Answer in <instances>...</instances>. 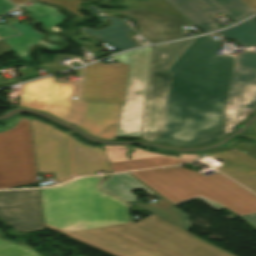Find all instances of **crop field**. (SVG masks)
<instances>
[{"label":"crop field","instance_id":"crop-field-1","mask_svg":"<svg viewBox=\"0 0 256 256\" xmlns=\"http://www.w3.org/2000/svg\"><path fill=\"white\" fill-rule=\"evenodd\" d=\"M216 33L196 38L167 70L173 72L164 133L171 146L208 144L256 109V70L235 67L233 56H217Z\"/></svg>","mask_w":256,"mask_h":256},{"label":"crop field","instance_id":"crop-field-9","mask_svg":"<svg viewBox=\"0 0 256 256\" xmlns=\"http://www.w3.org/2000/svg\"><path fill=\"white\" fill-rule=\"evenodd\" d=\"M135 5L128 11H111L135 18L141 35L151 44L184 38L181 27L192 24L164 0H135Z\"/></svg>","mask_w":256,"mask_h":256},{"label":"crop field","instance_id":"crop-field-32","mask_svg":"<svg viewBox=\"0 0 256 256\" xmlns=\"http://www.w3.org/2000/svg\"><path fill=\"white\" fill-rule=\"evenodd\" d=\"M11 1L18 6V5L22 4L23 2H25L27 0H11Z\"/></svg>","mask_w":256,"mask_h":256},{"label":"crop field","instance_id":"crop-field-27","mask_svg":"<svg viewBox=\"0 0 256 256\" xmlns=\"http://www.w3.org/2000/svg\"><path fill=\"white\" fill-rule=\"evenodd\" d=\"M240 219L256 230V214L240 217Z\"/></svg>","mask_w":256,"mask_h":256},{"label":"crop field","instance_id":"crop-field-7","mask_svg":"<svg viewBox=\"0 0 256 256\" xmlns=\"http://www.w3.org/2000/svg\"><path fill=\"white\" fill-rule=\"evenodd\" d=\"M152 47L127 52L114 60L130 64L116 136L141 135Z\"/></svg>","mask_w":256,"mask_h":256},{"label":"crop field","instance_id":"crop-field-10","mask_svg":"<svg viewBox=\"0 0 256 256\" xmlns=\"http://www.w3.org/2000/svg\"><path fill=\"white\" fill-rule=\"evenodd\" d=\"M129 65L101 62L88 65L84 81V101L123 103Z\"/></svg>","mask_w":256,"mask_h":256},{"label":"crop field","instance_id":"crop-field-16","mask_svg":"<svg viewBox=\"0 0 256 256\" xmlns=\"http://www.w3.org/2000/svg\"><path fill=\"white\" fill-rule=\"evenodd\" d=\"M153 196L160 198V200L152 204H142L138 201L132 203L186 231L191 229L188 216L185 213L160 195Z\"/></svg>","mask_w":256,"mask_h":256},{"label":"crop field","instance_id":"crop-field-5","mask_svg":"<svg viewBox=\"0 0 256 256\" xmlns=\"http://www.w3.org/2000/svg\"><path fill=\"white\" fill-rule=\"evenodd\" d=\"M35 182L29 120L19 114L0 128V189Z\"/></svg>","mask_w":256,"mask_h":256},{"label":"crop field","instance_id":"crop-field-19","mask_svg":"<svg viewBox=\"0 0 256 256\" xmlns=\"http://www.w3.org/2000/svg\"><path fill=\"white\" fill-rule=\"evenodd\" d=\"M191 160L192 159H175V158H169V157H155V158H145V159L113 162L110 164L112 167V171L116 172V171L132 170V169L163 166V165H174V164L191 161Z\"/></svg>","mask_w":256,"mask_h":256},{"label":"crop field","instance_id":"crop-field-34","mask_svg":"<svg viewBox=\"0 0 256 256\" xmlns=\"http://www.w3.org/2000/svg\"><path fill=\"white\" fill-rule=\"evenodd\" d=\"M109 176H110V175H107V176L102 177V180H101L100 184H101L104 180H106ZM100 184H99V185H100Z\"/></svg>","mask_w":256,"mask_h":256},{"label":"crop field","instance_id":"crop-field-23","mask_svg":"<svg viewBox=\"0 0 256 256\" xmlns=\"http://www.w3.org/2000/svg\"><path fill=\"white\" fill-rule=\"evenodd\" d=\"M8 242L0 237V256H40L28 247Z\"/></svg>","mask_w":256,"mask_h":256},{"label":"crop field","instance_id":"crop-field-3","mask_svg":"<svg viewBox=\"0 0 256 256\" xmlns=\"http://www.w3.org/2000/svg\"><path fill=\"white\" fill-rule=\"evenodd\" d=\"M174 205L201 199L241 216L256 212V196L217 173L208 177L182 166L131 173Z\"/></svg>","mask_w":256,"mask_h":256},{"label":"crop field","instance_id":"crop-field-8","mask_svg":"<svg viewBox=\"0 0 256 256\" xmlns=\"http://www.w3.org/2000/svg\"><path fill=\"white\" fill-rule=\"evenodd\" d=\"M55 76L23 84L18 106L48 111L67 122H74L81 82H55Z\"/></svg>","mask_w":256,"mask_h":256},{"label":"crop field","instance_id":"crop-field-21","mask_svg":"<svg viewBox=\"0 0 256 256\" xmlns=\"http://www.w3.org/2000/svg\"><path fill=\"white\" fill-rule=\"evenodd\" d=\"M256 17L232 29L221 31L228 39H235L242 47L256 45Z\"/></svg>","mask_w":256,"mask_h":256},{"label":"crop field","instance_id":"crop-field-13","mask_svg":"<svg viewBox=\"0 0 256 256\" xmlns=\"http://www.w3.org/2000/svg\"><path fill=\"white\" fill-rule=\"evenodd\" d=\"M120 104L108 102H80L76 124L88 133L105 139L116 135Z\"/></svg>","mask_w":256,"mask_h":256},{"label":"crop field","instance_id":"crop-field-4","mask_svg":"<svg viewBox=\"0 0 256 256\" xmlns=\"http://www.w3.org/2000/svg\"><path fill=\"white\" fill-rule=\"evenodd\" d=\"M32 129L36 169L39 173H54L58 183L77 175L110 173L103 149L90 147L51 126L29 118Z\"/></svg>","mask_w":256,"mask_h":256},{"label":"crop field","instance_id":"crop-field-30","mask_svg":"<svg viewBox=\"0 0 256 256\" xmlns=\"http://www.w3.org/2000/svg\"><path fill=\"white\" fill-rule=\"evenodd\" d=\"M239 144H242L241 142H237V141H234V142H232V143H230L229 145H227L226 147H230V148H234L235 146H237V145H239ZM250 145H252V144H250ZM231 150V149H230ZM226 151H228V150H226ZM204 155H212V154H204Z\"/></svg>","mask_w":256,"mask_h":256},{"label":"crop field","instance_id":"crop-field-22","mask_svg":"<svg viewBox=\"0 0 256 256\" xmlns=\"http://www.w3.org/2000/svg\"><path fill=\"white\" fill-rule=\"evenodd\" d=\"M103 148L106 152L107 158L110 162L113 161H121V160H128L124 156V147H117V146H106L103 145ZM135 158H144V157H154V156H167V155H161V154H155V153H149L141 150H135L134 153ZM182 158H193L196 157V155H188V154H181ZM173 157V156H169ZM179 158V157H175Z\"/></svg>","mask_w":256,"mask_h":256},{"label":"crop field","instance_id":"crop-field-29","mask_svg":"<svg viewBox=\"0 0 256 256\" xmlns=\"http://www.w3.org/2000/svg\"><path fill=\"white\" fill-rule=\"evenodd\" d=\"M10 49L3 40L0 41V55L10 52Z\"/></svg>","mask_w":256,"mask_h":256},{"label":"crop field","instance_id":"crop-field-15","mask_svg":"<svg viewBox=\"0 0 256 256\" xmlns=\"http://www.w3.org/2000/svg\"><path fill=\"white\" fill-rule=\"evenodd\" d=\"M87 9L91 12H96L100 17L99 20L104 23L105 18L111 20V25L102 30H90L81 27L82 31L90 35L100 38L103 42L122 51L138 46L127 35L132 31L122 20L117 17H109L99 10L96 6H88Z\"/></svg>","mask_w":256,"mask_h":256},{"label":"crop field","instance_id":"crop-field-2","mask_svg":"<svg viewBox=\"0 0 256 256\" xmlns=\"http://www.w3.org/2000/svg\"><path fill=\"white\" fill-rule=\"evenodd\" d=\"M86 177L40 190L44 225L115 256H235L155 216L130 222L127 204Z\"/></svg>","mask_w":256,"mask_h":256},{"label":"crop field","instance_id":"crop-field-6","mask_svg":"<svg viewBox=\"0 0 256 256\" xmlns=\"http://www.w3.org/2000/svg\"><path fill=\"white\" fill-rule=\"evenodd\" d=\"M193 40L153 47L142 140L155 142L156 138L163 133L166 116L164 105L172 75L166 70Z\"/></svg>","mask_w":256,"mask_h":256},{"label":"crop field","instance_id":"crop-field-18","mask_svg":"<svg viewBox=\"0 0 256 256\" xmlns=\"http://www.w3.org/2000/svg\"><path fill=\"white\" fill-rule=\"evenodd\" d=\"M11 24L22 33L19 37L7 38L4 41L17 53L22 60L30 61L28 50L31 45H37L42 42L43 34L36 32L26 23L11 22Z\"/></svg>","mask_w":256,"mask_h":256},{"label":"crop field","instance_id":"crop-field-33","mask_svg":"<svg viewBox=\"0 0 256 256\" xmlns=\"http://www.w3.org/2000/svg\"><path fill=\"white\" fill-rule=\"evenodd\" d=\"M82 72H83V68L78 69V71H76L77 75L82 77Z\"/></svg>","mask_w":256,"mask_h":256},{"label":"crop field","instance_id":"crop-field-28","mask_svg":"<svg viewBox=\"0 0 256 256\" xmlns=\"http://www.w3.org/2000/svg\"><path fill=\"white\" fill-rule=\"evenodd\" d=\"M243 134L247 135V136H253L254 139H256V123L253 124L246 132H244Z\"/></svg>","mask_w":256,"mask_h":256},{"label":"crop field","instance_id":"crop-field-25","mask_svg":"<svg viewBox=\"0 0 256 256\" xmlns=\"http://www.w3.org/2000/svg\"><path fill=\"white\" fill-rule=\"evenodd\" d=\"M237 66L256 69V54L245 51L236 56Z\"/></svg>","mask_w":256,"mask_h":256},{"label":"crop field","instance_id":"crop-field-20","mask_svg":"<svg viewBox=\"0 0 256 256\" xmlns=\"http://www.w3.org/2000/svg\"><path fill=\"white\" fill-rule=\"evenodd\" d=\"M21 8L27 11L34 19L41 22L47 29L61 23L65 18V16L60 14L56 8L46 6L38 2L28 6L23 5Z\"/></svg>","mask_w":256,"mask_h":256},{"label":"crop field","instance_id":"crop-field-17","mask_svg":"<svg viewBox=\"0 0 256 256\" xmlns=\"http://www.w3.org/2000/svg\"><path fill=\"white\" fill-rule=\"evenodd\" d=\"M99 187L127 202H132L139 199L130 193V191L134 188H140L150 195L153 194L152 191L143 186L127 173L111 175Z\"/></svg>","mask_w":256,"mask_h":256},{"label":"crop field","instance_id":"crop-field-14","mask_svg":"<svg viewBox=\"0 0 256 256\" xmlns=\"http://www.w3.org/2000/svg\"><path fill=\"white\" fill-rule=\"evenodd\" d=\"M213 156L224 160L216 167L218 170L256 192V147L242 144L232 151L220 152Z\"/></svg>","mask_w":256,"mask_h":256},{"label":"crop field","instance_id":"crop-field-11","mask_svg":"<svg viewBox=\"0 0 256 256\" xmlns=\"http://www.w3.org/2000/svg\"><path fill=\"white\" fill-rule=\"evenodd\" d=\"M204 33L218 29L211 16L223 12L235 22L254 13L241 0H166Z\"/></svg>","mask_w":256,"mask_h":256},{"label":"crop field","instance_id":"crop-field-26","mask_svg":"<svg viewBox=\"0 0 256 256\" xmlns=\"http://www.w3.org/2000/svg\"><path fill=\"white\" fill-rule=\"evenodd\" d=\"M49 3L60 4L71 12L82 16L80 12H78L79 4L82 2L81 0H42Z\"/></svg>","mask_w":256,"mask_h":256},{"label":"crop field","instance_id":"crop-field-24","mask_svg":"<svg viewBox=\"0 0 256 256\" xmlns=\"http://www.w3.org/2000/svg\"><path fill=\"white\" fill-rule=\"evenodd\" d=\"M14 8L7 0H0V15L5 14L8 10ZM18 35V33L11 28L8 24L0 25V37L5 38L9 36Z\"/></svg>","mask_w":256,"mask_h":256},{"label":"crop field","instance_id":"crop-field-31","mask_svg":"<svg viewBox=\"0 0 256 256\" xmlns=\"http://www.w3.org/2000/svg\"><path fill=\"white\" fill-rule=\"evenodd\" d=\"M248 5H250L254 10H256V0H244Z\"/></svg>","mask_w":256,"mask_h":256},{"label":"crop field","instance_id":"crop-field-12","mask_svg":"<svg viewBox=\"0 0 256 256\" xmlns=\"http://www.w3.org/2000/svg\"><path fill=\"white\" fill-rule=\"evenodd\" d=\"M0 217L20 232L43 229L39 190L0 193Z\"/></svg>","mask_w":256,"mask_h":256}]
</instances>
